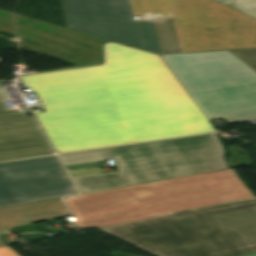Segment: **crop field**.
<instances>
[{
    "mask_svg": "<svg viewBox=\"0 0 256 256\" xmlns=\"http://www.w3.org/2000/svg\"><path fill=\"white\" fill-rule=\"evenodd\" d=\"M69 213L60 198L3 207L0 208V231L18 225L64 218Z\"/></svg>",
    "mask_w": 256,
    "mask_h": 256,
    "instance_id": "obj_9",
    "label": "crop field"
},
{
    "mask_svg": "<svg viewBox=\"0 0 256 256\" xmlns=\"http://www.w3.org/2000/svg\"><path fill=\"white\" fill-rule=\"evenodd\" d=\"M230 52L256 71V49L233 50Z\"/></svg>",
    "mask_w": 256,
    "mask_h": 256,
    "instance_id": "obj_11",
    "label": "crop field"
},
{
    "mask_svg": "<svg viewBox=\"0 0 256 256\" xmlns=\"http://www.w3.org/2000/svg\"><path fill=\"white\" fill-rule=\"evenodd\" d=\"M119 126H120V128H122V127H124V124L123 123H121V124H119ZM128 134V133H127Z\"/></svg>",
    "mask_w": 256,
    "mask_h": 256,
    "instance_id": "obj_13",
    "label": "crop field"
},
{
    "mask_svg": "<svg viewBox=\"0 0 256 256\" xmlns=\"http://www.w3.org/2000/svg\"><path fill=\"white\" fill-rule=\"evenodd\" d=\"M61 0L67 27L157 54L256 47V18L213 0Z\"/></svg>",
    "mask_w": 256,
    "mask_h": 256,
    "instance_id": "obj_2",
    "label": "crop field"
},
{
    "mask_svg": "<svg viewBox=\"0 0 256 256\" xmlns=\"http://www.w3.org/2000/svg\"><path fill=\"white\" fill-rule=\"evenodd\" d=\"M0 89V161L53 154L33 117L7 110Z\"/></svg>",
    "mask_w": 256,
    "mask_h": 256,
    "instance_id": "obj_8",
    "label": "crop field"
},
{
    "mask_svg": "<svg viewBox=\"0 0 256 256\" xmlns=\"http://www.w3.org/2000/svg\"><path fill=\"white\" fill-rule=\"evenodd\" d=\"M0 256H19L8 246L0 247Z\"/></svg>",
    "mask_w": 256,
    "mask_h": 256,
    "instance_id": "obj_12",
    "label": "crop field"
},
{
    "mask_svg": "<svg viewBox=\"0 0 256 256\" xmlns=\"http://www.w3.org/2000/svg\"><path fill=\"white\" fill-rule=\"evenodd\" d=\"M216 133L59 155L64 166L115 159L118 171L75 177L81 193L228 169Z\"/></svg>",
    "mask_w": 256,
    "mask_h": 256,
    "instance_id": "obj_5",
    "label": "crop field"
},
{
    "mask_svg": "<svg viewBox=\"0 0 256 256\" xmlns=\"http://www.w3.org/2000/svg\"><path fill=\"white\" fill-rule=\"evenodd\" d=\"M104 64L21 76L47 112L35 116L57 153L213 132L157 55L107 42Z\"/></svg>",
    "mask_w": 256,
    "mask_h": 256,
    "instance_id": "obj_1",
    "label": "crop field"
},
{
    "mask_svg": "<svg viewBox=\"0 0 256 256\" xmlns=\"http://www.w3.org/2000/svg\"><path fill=\"white\" fill-rule=\"evenodd\" d=\"M253 17H256V0H216Z\"/></svg>",
    "mask_w": 256,
    "mask_h": 256,
    "instance_id": "obj_10",
    "label": "crop field"
},
{
    "mask_svg": "<svg viewBox=\"0 0 256 256\" xmlns=\"http://www.w3.org/2000/svg\"><path fill=\"white\" fill-rule=\"evenodd\" d=\"M155 256L256 253V199L99 229Z\"/></svg>",
    "mask_w": 256,
    "mask_h": 256,
    "instance_id": "obj_4",
    "label": "crop field"
},
{
    "mask_svg": "<svg viewBox=\"0 0 256 256\" xmlns=\"http://www.w3.org/2000/svg\"><path fill=\"white\" fill-rule=\"evenodd\" d=\"M57 156L0 163V207L77 194Z\"/></svg>",
    "mask_w": 256,
    "mask_h": 256,
    "instance_id": "obj_7",
    "label": "crop field"
},
{
    "mask_svg": "<svg viewBox=\"0 0 256 256\" xmlns=\"http://www.w3.org/2000/svg\"><path fill=\"white\" fill-rule=\"evenodd\" d=\"M248 256H256V254H253V255H248Z\"/></svg>",
    "mask_w": 256,
    "mask_h": 256,
    "instance_id": "obj_14",
    "label": "crop field"
},
{
    "mask_svg": "<svg viewBox=\"0 0 256 256\" xmlns=\"http://www.w3.org/2000/svg\"><path fill=\"white\" fill-rule=\"evenodd\" d=\"M0 88H2L1 84H0Z\"/></svg>",
    "mask_w": 256,
    "mask_h": 256,
    "instance_id": "obj_15",
    "label": "crop field"
},
{
    "mask_svg": "<svg viewBox=\"0 0 256 256\" xmlns=\"http://www.w3.org/2000/svg\"><path fill=\"white\" fill-rule=\"evenodd\" d=\"M233 169L64 198L78 229L253 197ZM63 199V200H64Z\"/></svg>",
    "mask_w": 256,
    "mask_h": 256,
    "instance_id": "obj_3",
    "label": "crop field"
},
{
    "mask_svg": "<svg viewBox=\"0 0 256 256\" xmlns=\"http://www.w3.org/2000/svg\"><path fill=\"white\" fill-rule=\"evenodd\" d=\"M160 56L208 120L256 118V72L230 52Z\"/></svg>",
    "mask_w": 256,
    "mask_h": 256,
    "instance_id": "obj_6",
    "label": "crop field"
}]
</instances>
